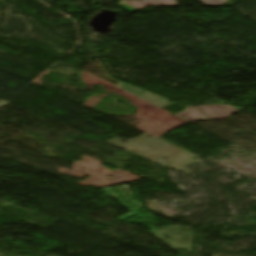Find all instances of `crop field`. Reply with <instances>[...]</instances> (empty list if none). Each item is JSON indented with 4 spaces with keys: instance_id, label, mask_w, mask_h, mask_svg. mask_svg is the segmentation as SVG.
Returning a JSON list of instances; mask_svg holds the SVG:
<instances>
[{
    "instance_id": "1",
    "label": "crop field",
    "mask_w": 256,
    "mask_h": 256,
    "mask_svg": "<svg viewBox=\"0 0 256 256\" xmlns=\"http://www.w3.org/2000/svg\"><path fill=\"white\" fill-rule=\"evenodd\" d=\"M210 120H221L231 117L230 114L239 111L228 105L197 106ZM186 111L176 114L193 123L195 120H208L194 107H185Z\"/></svg>"
},
{
    "instance_id": "2",
    "label": "crop field",
    "mask_w": 256,
    "mask_h": 256,
    "mask_svg": "<svg viewBox=\"0 0 256 256\" xmlns=\"http://www.w3.org/2000/svg\"><path fill=\"white\" fill-rule=\"evenodd\" d=\"M123 8L127 11L132 12L140 9L146 8L147 5L151 6H177L175 0H129V1H121L119 3Z\"/></svg>"
},
{
    "instance_id": "3",
    "label": "crop field",
    "mask_w": 256,
    "mask_h": 256,
    "mask_svg": "<svg viewBox=\"0 0 256 256\" xmlns=\"http://www.w3.org/2000/svg\"><path fill=\"white\" fill-rule=\"evenodd\" d=\"M117 87H119V88H121V89H123V90H125L127 92H130V93H132L134 95H138L141 92H143V91H141V90H139V89H137V88H135V87H133L131 85L122 84V83H119L117 85ZM139 97L144 99V100H146V101H148V102H150V103H152V104H154V105H156V106H158V107H160V108H163V109L168 107V106H170L169 103H167V102H161L160 99H159L160 97H158V96H156L154 94H150V93L144 92Z\"/></svg>"
},
{
    "instance_id": "4",
    "label": "crop field",
    "mask_w": 256,
    "mask_h": 256,
    "mask_svg": "<svg viewBox=\"0 0 256 256\" xmlns=\"http://www.w3.org/2000/svg\"><path fill=\"white\" fill-rule=\"evenodd\" d=\"M207 6H221L228 0H201Z\"/></svg>"
}]
</instances>
